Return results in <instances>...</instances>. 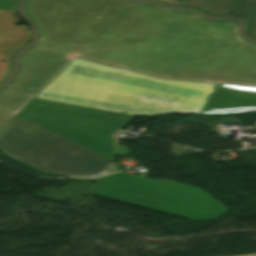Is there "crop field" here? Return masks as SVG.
<instances>
[{"instance_id": "1", "label": "crop field", "mask_w": 256, "mask_h": 256, "mask_svg": "<svg viewBox=\"0 0 256 256\" xmlns=\"http://www.w3.org/2000/svg\"><path fill=\"white\" fill-rule=\"evenodd\" d=\"M216 84L162 80L73 57L37 98L140 116L201 113Z\"/></svg>"}, {"instance_id": "2", "label": "crop field", "mask_w": 256, "mask_h": 256, "mask_svg": "<svg viewBox=\"0 0 256 256\" xmlns=\"http://www.w3.org/2000/svg\"><path fill=\"white\" fill-rule=\"evenodd\" d=\"M32 9L47 32V42L40 49L71 56L82 52L67 47L70 43L87 48L130 10L236 44L226 24L209 25L185 15L134 7L118 0H36Z\"/></svg>"}, {"instance_id": "3", "label": "crop field", "mask_w": 256, "mask_h": 256, "mask_svg": "<svg viewBox=\"0 0 256 256\" xmlns=\"http://www.w3.org/2000/svg\"><path fill=\"white\" fill-rule=\"evenodd\" d=\"M0 151L34 168L74 177L116 172L113 161L15 116L0 132Z\"/></svg>"}, {"instance_id": "4", "label": "crop field", "mask_w": 256, "mask_h": 256, "mask_svg": "<svg viewBox=\"0 0 256 256\" xmlns=\"http://www.w3.org/2000/svg\"><path fill=\"white\" fill-rule=\"evenodd\" d=\"M17 116L111 160L112 134L133 117L36 98Z\"/></svg>"}, {"instance_id": "5", "label": "crop field", "mask_w": 256, "mask_h": 256, "mask_svg": "<svg viewBox=\"0 0 256 256\" xmlns=\"http://www.w3.org/2000/svg\"><path fill=\"white\" fill-rule=\"evenodd\" d=\"M71 58L49 50H33L25 58L26 65L17 82L23 87L21 92L34 97Z\"/></svg>"}, {"instance_id": "6", "label": "crop field", "mask_w": 256, "mask_h": 256, "mask_svg": "<svg viewBox=\"0 0 256 256\" xmlns=\"http://www.w3.org/2000/svg\"><path fill=\"white\" fill-rule=\"evenodd\" d=\"M182 5L201 8L214 15L232 14L245 17L252 23L250 35L256 37V0H184Z\"/></svg>"}, {"instance_id": "7", "label": "crop field", "mask_w": 256, "mask_h": 256, "mask_svg": "<svg viewBox=\"0 0 256 256\" xmlns=\"http://www.w3.org/2000/svg\"><path fill=\"white\" fill-rule=\"evenodd\" d=\"M15 13L0 11V60L9 61L11 52L29 37L26 26H17Z\"/></svg>"}, {"instance_id": "8", "label": "crop field", "mask_w": 256, "mask_h": 256, "mask_svg": "<svg viewBox=\"0 0 256 256\" xmlns=\"http://www.w3.org/2000/svg\"><path fill=\"white\" fill-rule=\"evenodd\" d=\"M31 99L32 97L20 94L12 88L0 93V108L15 112L0 111V131Z\"/></svg>"}, {"instance_id": "9", "label": "crop field", "mask_w": 256, "mask_h": 256, "mask_svg": "<svg viewBox=\"0 0 256 256\" xmlns=\"http://www.w3.org/2000/svg\"><path fill=\"white\" fill-rule=\"evenodd\" d=\"M35 0H30V2L27 4L26 6V10L28 12V14H30L33 19L35 20L36 24L38 25L39 29L41 30L42 34H43V38H42V41L40 44L36 45L35 48H39L42 44H44L46 42V32L43 28V26L41 25V23L39 22L38 18L33 14L32 10H31V7H32V4ZM124 3H127V4H130V5H134V6H139V7H145V8H151V9H156V10H160V11H166V12H173V13H180V14H186V15H189L191 16L192 18L198 20V21H202V22H205V23H209V24H221V23H227L229 26H230V36L232 38L233 41L243 45V46H248V47H256V46H253V45H248V44H245L243 43L242 41H240L239 39L236 38V35H235V27H234V24L232 22H218V23H210V22H206L196 16H193L191 14H187V13H182V12H177V11H170V10H166V9H160V8H153V7H148V6H142V5H137V4H132V3H129L125 0H120Z\"/></svg>"}, {"instance_id": "10", "label": "crop field", "mask_w": 256, "mask_h": 256, "mask_svg": "<svg viewBox=\"0 0 256 256\" xmlns=\"http://www.w3.org/2000/svg\"><path fill=\"white\" fill-rule=\"evenodd\" d=\"M33 49H30L29 51H27L25 54L22 55L21 59H20V67H19V71L15 77V79L13 80V82L11 84H9L10 86H13L15 88H17V90H22V87H20L19 85L16 84V81H18L22 71H23V67L25 65V61H24V57L31 52Z\"/></svg>"}, {"instance_id": "11", "label": "crop field", "mask_w": 256, "mask_h": 256, "mask_svg": "<svg viewBox=\"0 0 256 256\" xmlns=\"http://www.w3.org/2000/svg\"><path fill=\"white\" fill-rule=\"evenodd\" d=\"M17 0H0V10L16 11Z\"/></svg>"}, {"instance_id": "12", "label": "crop field", "mask_w": 256, "mask_h": 256, "mask_svg": "<svg viewBox=\"0 0 256 256\" xmlns=\"http://www.w3.org/2000/svg\"><path fill=\"white\" fill-rule=\"evenodd\" d=\"M8 63H9V62L0 61V78L2 77V75L4 74V72L6 71V69H7V67H8Z\"/></svg>"}, {"instance_id": "13", "label": "crop field", "mask_w": 256, "mask_h": 256, "mask_svg": "<svg viewBox=\"0 0 256 256\" xmlns=\"http://www.w3.org/2000/svg\"><path fill=\"white\" fill-rule=\"evenodd\" d=\"M171 3H175V4H181L183 0H165Z\"/></svg>"}, {"instance_id": "14", "label": "crop field", "mask_w": 256, "mask_h": 256, "mask_svg": "<svg viewBox=\"0 0 256 256\" xmlns=\"http://www.w3.org/2000/svg\"><path fill=\"white\" fill-rule=\"evenodd\" d=\"M239 256H256V254H249V255H239Z\"/></svg>"}]
</instances>
